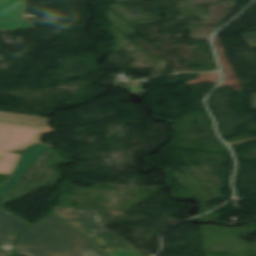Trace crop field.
Segmentation results:
<instances>
[{
  "instance_id": "obj_11",
  "label": "crop field",
  "mask_w": 256,
  "mask_h": 256,
  "mask_svg": "<svg viewBox=\"0 0 256 256\" xmlns=\"http://www.w3.org/2000/svg\"><path fill=\"white\" fill-rule=\"evenodd\" d=\"M250 98L253 104V110H256V94H252Z\"/></svg>"
},
{
  "instance_id": "obj_6",
  "label": "crop field",
  "mask_w": 256,
  "mask_h": 256,
  "mask_svg": "<svg viewBox=\"0 0 256 256\" xmlns=\"http://www.w3.org/2000/svg\"><path fill=\"white\" fill-rule=\"evenodd\" d=\"M28 223L0 208V256L13 255V241L18 231Z\"/></svg>"
},
{
  "instance_id": "obj_7",
  "label": "crop field",
  "mask_w": 256,
  "mask_h": 256,
  "mask_svg": "<svg viewBox=\"0 0 256 256\" xmlns=\"http://www.w3.org/2000/svg\"><path fill=\"white\" fill-rule=\"evenodd\" d=\"M0 122L38 127L48 124L49 120L45 117L0 112Z\"/></svg>"
},
{
  "instance_id": "obj_5",
  "label": "crop field",
  "mask_w": 256,
  "mask_h": 256,
  "mask_svg": "<svg viewBox=\"0 0 256 256\" xmlns=\"http://www.w3.org/2000/svg\"><path fill=\"white\" fill-rule=\"evenodd\" d=\"M24 12L25 0H0V29H34Z\"/></svg>"
},
{
  "instance_id": "obj_1",
  "label": "crop field",
  "mask_w": 256,
  "mask_h": 256,
  "mask_svg": "<svg viewBox=\"0 0 256 256\" xmlns=\"http://www.w3.org/2000/svg\"><path fill=\"white\" fill-rule=\"evenodd\" d=\"M17 251L30 256H109L54 213L23 230Z\"/></svg>"
},
{
  "instance_id": "obj_10",
  "label": "crop field",
  "mask_w": 256,
  "mask_h": 256,
  "mask_svg": "<svg viewBox=\"0 0 256 256\" xmlns=\"http://www.w3.org/2000/svg\"><path fill=\"white\" fill-rule=\"evenodd\" d=\"M242 37L247 42L250 48L256 47V32L255 33H249V34H243Z\"/></svg>"
},
{
  "instance_id": "obj_3",
  "label": "crop field",
  "mask_w": 256,
  "mask_h": 256,
  "mask_svg": "<svg viewBox=\"0 0 256 256\" xmlns=\"http://www.w3.org/2000/svg\"><path fill=\"white\" fill-rule=\"evenodd\" d=\"M50 147L47 144L34 143L23 149L12 175L0 189V199L15 185L19 177L24 175Z\"/></svg>"
},
{
  "instance_id": "obj_4",
  "label": "crop field",
  "mask_w": 256,
  "mask_h": 256,
  "mask_svg": "<svg viewBox=\"0 0 256 256\" xmlns=\"http://www.w3.org/2000/svg\"><path fill=\"white\" fill-rule=\"evenodd\" d=\"M54 211L89 238L104 229L98 213L55 207Z\"/></svg>"
},
{
  "instance_id": "obj_2",
  "label": "crop field",
  "mask_w": 256,
  "mask_h": 256,
  "mask_svg": "<svg viewBox=\"0 0 256 256\" xmlns=\"http://www.w3.org/2000/svg\"><path fill=\"white\" fill-rule=\"evenodd\" d=\"M47 126L40 128L9 125L0 123V173L11 174L19 155L7 153L39 142L38 136L45 132H51Z\"/></svg>"
},
{
  "instance_id": "obj_9",
  "label": "crop field",
  "mask_w": 256,
  "mask_h": 256,
  "mask_svg": "<svg viewBox=\"0 0 256 256\" xmlns=\"http://www.w3.org/2000/svg\"><path fill=\"white\" fill-rule=\"evenodd\" d=\"M113 256H143L138 251H127V250H109Z\"/></svg>"
},
{
  "instance_id": "obj_8",
  "label": "crop field",
  "mask_w": 256,
  "mask_h": 256,
  "mask_svg": "<svg viewBox=\"0 0 256 256\" xmlns=\"http://www.w3.org/2000/svg\"><path fill=\"white\" fill-rule=\"evenodd\" d=\"M91 239L98 245L103 248H111V249H134L131 245H129L125 240L117 236L113 232H109L107 230H103L97 234H95Z\"/></svg>"
}]
</instances>
